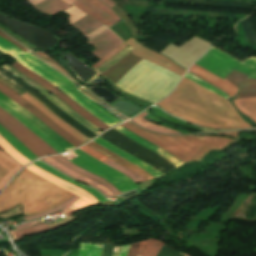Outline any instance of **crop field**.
Returning a JSON list of instances; mask_svg holds the SVG:
<instances>
[{
  "label": "crop field",
  "mask_w": 256,
  "mask_h": 256,
  "mask_svg": "<svg viewBox=\"0 0 256 256\" xmlns=\"http://www.w3.org/2000/svg\"><path fill=\"white\" fill-rule=\"evenodd\" d=\"M157 105L196 125L220 129L251 128L239 118L226 99L185 78L167 99Z\"/></svg>",
  "instance_id": "8a807250"
},
{
  "label": "crop field",
  "mask_w": 256,
  "mask_h": 256,
  "mask_svg": "<svg viewBox=\"0 0 256 256\" xmlns=\"http://www.w3.org/2000/svg\"><path fill=\"white\" fill-rule=\"evenodd\" d=\"M72 195L23 169L0 195V212L21 204L23 214L32 215L54 208Z\"/></svg>",
  "instance_id": "ac0d7876"
},
{
  "label": "crop field",
  "mask_w": 256,
  "mask_h": 256,
  "mask_svg": "<svg viewBox=\"0 0 256 256\" xmlns=\"http://www.w3.org/2000/svg\"><path fill=\"white\" fill-rule=\"evenodd\" d=\"M180 78V76L142 59L115 86L154 104L169 94Z\"/></svg>",
  "instance_id": "34b2d1b8"
},
{
  "label": "crop field",
  "mask_w": 256,
  "mask_h": 256,
  "mask_svg": "<svg viewBox=\"0 0 256 256\" xmlns=\"http://www.w3.org/2000/svg\"><path fill=\"white\" fill-rule=\"evenodd\" d=\"M128 130L134 132L143 139L153 143L154 145L164 149L182 162H192L200 160L211 149L222 150L230 143L238 140H231L225 137H165L151 135L140 131L128 122L121 124Z\"/></svg>",
  "instance_id": "412701ff"
},
{
  "label": "crop field",
  "mask_w": 256,
  "mask_h": 256,
  "mask_svg": "<svg viewBox=\"0 0 256 256\" xmlns=\"http://www.w3.org/2000/svg\"><path fill=\"white\" fill-rule=\"evenodd\" d=\"M195 64L215 74L220 78H225L233 69L249 75L247 78H256V58L245 59L242 63L228 54L211 46L209 51L201 57Z\"/></svg>",
  "instance_id": "f4fd0767"
},
{
  "label": "crop field",
  "mask_w": 256,
  "mask_h": 256,
  "mask_svg": "<svg viewBox=\"0 0 256 256\" xmlns=\"http://www.w3.org/2000/svg\"><path fill=\"white\" fill-rule=\"evenodd\" d=\"M72 152L77 154L79 157L70 160L71 163L104 178L121 193L138 188V185L125 175L102 164L82 151L76 149Z\"/></svg>",
  "instance_id": "dd49c442"
},
{
  "label": "crop field",
  "mask_w": 256,
  "mask_h": 256,
  "mask_svg": "<svg viewBox=\"0 0 256 256\" xmlns=\"http://www.w3.org/2000/svg\"><path fill=\"white\" fill-rule=\"evenodd\" d=\"M104 140L114 144L115 146L119 147L120 149L124 150L125 152L131 154L132 156L136 157L137 159L157 168L163 174L176 168L167 160L159 157L158 155L148 151L147 149L143 148L142 146L138 145L134 141L130 140L126 136L122 135L121 133L110 130L104 135L100 136Z\"/></svg>",
  "instance_id": "e52e79f7"
},
{
  "label": "crop field",
  "mask_w": 256,
  "mask_h": 256,
  "mask_svg": "<svg viewBox=\"0 0 256 256\" xmlns=\"http://www.w3.org/2000/svg\"><path fill=\"white\" fill-rule=\"evenodd\" d=\"M0 125L9 133L13 134L19 141H21L29 150H31L38 157L56 154L50 146H48L39 137L33 134L20 122L14 119L11 115L0 108ZM20 142V143H21Z\"/></svg>",
  "instance_id": "d8731c3e"
},
{
  "label": "crop field",
  "mask_w": 256,
  "mask_h": 256,
  "mask_svg": "<svg viewBox=\"0 0 256 256\" xmlns=\"http://www.w3.org/2000/svg\"><path fill=\"white\" fill-rule=\"evenodd\" d=\"M0 50L10 56H14L15 58H13V59L17 60L18 62L23 64L25 67L30 69L31 71L35 72L39 76L48 80L50 83H52L54 86H56L60 91H63L64 93H66L74 101H76L78 104H80L86 110H88L90 113H92L98 119H100L102 122L107 124L109 127L117 124L115 121L111 120L110 118L106 117L105 115L101 114L100 112L96 111L94 108L89 106L86 102H84L82 99H80L78 96H76L73 92H71L65 86L61 85L56 80L51 78L49 75H47L43 71L39 70L38 68L34 67L29 62L25 61L22 57H20L18 55L19 53H22V52L18 48H16L14 45H12L11 43H9L8 41H6L2 38H0Z\"/></svg>",
  "instance_id": "5a996713"
},
{
  "label": "crop field",
  "mask_w": 256,
  "mask_h": 256,
  "mask_svg": "<svg viewBox=\"0 0 256 256\" xmlns=\"http://www.w3.org/2000/svg\"><path fill=\"white\" fill-rule=\"evenodd\" d=\"M11 66L27 76L29 79L55 95L57 98H59L61 101H63L65 104H67L69 107H71L74 111H76L78 114H80L83 118H85L87 121L91 122L95 126L105 130L109 127H107L105 124L100 122L98 119L93 117L91 114L83 110L81 107L76 105L74 102H72L70 99H68L64 94H62L60 91H58L56 88H54L50 83H48L45 79L37 76L36 74L28 71L23 66H21L19 63L15 62L11 64Z\"/></svg>",
  "instance_id": "3316defc"
},
{
  "label": "crop field",
  "mask_w": 256,
  "mask_h": 256,
  "mask_svg": "<svg viewBox=\"0 0 256 256\" xmlns=\"http://www.w3.org/2000/svg\"><path fill=\"white\" fill-rule=\"evenodd\" d=\"M0 92L20 104L22 107L27 109L29 112H31L33 115H35L37 118H39L42 122H44L47 126H49L52 130H54L57 134H59L61 137H63L65 140H67L69 143H71L73 146L77 147L80 143L78 140H76L74 137H72L70 134H68L64 129H62L60 126H58L56 123H54L52 120H50L47 116H45L42 112H40L37 108H35L33 105L28 103L24 98L17 95L16 93L12 92L8 88L4 87L0 84Z\"/></svg>",
  "instance_id": "28ad6ade"
},
{
  "label": "crop field",
  "mask_w": 256,
  "mask_h": 256,
  "mask_svg": "<svg viewBox=\"0 0 256 256\" xmlns=\"http://www.w3.org/2000/svg\"><path fill=\"white\" fill-rule=\"evenodd\" d=\"M47 180H49L50 182L74 193L75 195L79 196L80 198L72 204V206L80 209L82 207H85L89 204H95L96 202H98L95 198H93L90 194H88L87 192H85L84 190L66 182V181H63L51 174H48L44 171H42L41 169L37 168L36 166L34 165H29L27 168H25Z\"/></svg>",
  "instance_id": "d1516ede"
},
{
  "label": "crop field",
  "mask_w": 256,
  "mask_h": 256,
  "mask_svg": "<svg viewBox=\"0 0 256 256\" xmlns=\"http://www.w3.org/2000/svg\"><path fill=\"white\" fill-rule=\"evenodd\" d=\"M20 56H22L24 59L28 60L29 62H31L35 66H37L40 69H42L44 72L49 74L51 77H53L54 79L58 80L61 84H63L66 87H68L76 95H78L80 98L85 100L88 104L93 106L96 110L100 111L101 113L105 114L106 116L110 117L111 119L115 120L116 122L120 123V121L117 120L115 117H113L112 115H110L109 113H107L106 111L101 109L97 104L93 103L88 98H86L84 95H82L80 92H78L76 90V88L72 85V83L69 80L64 78L62 75H60L54 69H52L51 67L47 66L45 63L41 62L40 60L34 58L33 56L29 55L28 52L22 53V54H20Z\"/></svg>",
  "instance_id": "22f410ed"
},
{
  "label": "crop field",
  "mask_w": 256,
  "mask_h": 256,
  "mask_svg": "<svg viewBox=\"0 0 256 256\" xmlns=\"http://www.w3.org/2000/svg\"><path fill=\"white\" fill-rule=\"evenodd\" d=\"M0 100L12 106L16 111H18L21 115H23L27 120H29L32 124H34L37 128H39L42 132H44L47 136L61 145L66 151L74 148L71 144L57 135L54 131H52L49 127H47L44 123L38 120L36 117L31 115L17 103L0 93Z\"/></svg>",
  "instance_id": "cbeb9de0"
},
{
  "label": "crop field",
  "mask_w": 256,
  "mask_h": 256,
  "mask_svg": "<svg viewBox=\"0 0 256 256\" xmlns=\"http://www.w3.org/2000/svg\"><path fill=\"white\" fill-rule=\"evenodd\" d=\"M125 43H127L128 45L134 47L135 49L132 51V53L136 56H139L141 58H144L148 61H151L155 64H158L180 76L183 75V73L185 72V70H183L182 68L178 67L176 64H174L173 62L169 61L168 59L144 48L143 46H141L140 44H138L136 41H134L132 38L125 41Z\"/></svg>",
  "instance_id": "5142ce71"
},
{
  "label": "crop field",
  "mask_w": 256,
  "mask_h": 256,
  "mask_svg": "<svg viewBox=\"0 0 256 256\" xmlns=\"http://www.w3.org/2000/svg\"><path fill=\"white\" fill-rule=\"evenodd\" d=\"M87 43H93L95 47L98 49L93 51L92 55L97 57L98 59L124 43L112 30L109 28L88 41Z\"/></svg>",
  "instance_id": "d9b57169"
},
{
  "label": "crop field",
  "mask_w": 256,
  "mask_h": 256,
  "mask_svg": "<svg viewBox=\"0 0 256 256\" xmlns=\"http://www.w3.org/2000/svg\"><path fill=\"white\" fill-rule=\"evenodd\" d=\"M140 60L141 58H138L130 53L109 70L99 75L115 85V83Z\"/></svg>",
  "instance_id": "733c2abd"
},
{
  "label": "crop field",
  "mask_w": 256,
  "mask_h": 256,
  "mask_svg": "<svg viewBox=\"0 0 256 256\" xmlns=\"http://www.w3.org/2000/svg\"><path fill=\"white\" fill-rule=\"evenodd\" d=\"M247 75L239 73L233 70L225 79L230 81L232 84L239 88H248L249 89H240L235 98H244V97H253L256 96V79H244Z\"/></svg>",
  "instance_id": "4a817a6b"
},
{
  "label": "crop field",
  "mask_w": 256,
  "mask_h": 256,
  "mask_svg": "<svg viewBox=\"0 0 256 256\" xmlns=\"http://www.w3.org/2000/svg\"><path fill=\"white\" fill-rule=\"evenodd\" d=\"M43 161H45L46 163H48L49 165H51L52 167H54L55 169L79 180L82 181L88 185H91L93 187H95L96 189H98L100 192H102L103 194H105L108 198L114 196L112 195L107 188L103 187L101 184L65 167L64 165H62L61 163H59L58 161H56L55 159H53L52 157H45L43 159H41Z\"/></svg>",
  "instance_id": "bc2a9ffb"
},
{
  "label": "crop field",
  "mask_w": 256,
  "mask_h": 256,
  "mask_svg": "<svg viewBox=\"0 0 256 256\" xmlns=\"http://www.w3.org/2000/svg\"><path fill=\"white\" fill-rule=\"evenodd\" d=\"M189 71L206 80L210 84L220 88L221 90L226 92L230 97H233L238 91V88L229 83L227 80H222L195 64L190 68Z\"/></svg>",
  "instance_id": "214f88e0"
},
{
  "label": "crop field",
  "mask_w": 256,
  "mask_h": 256,
  "mask_svg": "<svg viewBox=\"0 0 256 256\" xmlns=\"http://www.w3.org/2000/svg\"><path fill=\"white\" fill-rule=\"evenodd\" d=\"M24 98H26L29 102H31L35 107H37L39 110H41L44 114H46L50 119H52L54 122H56L58 125H60L62 128H64L68 133H70L72 136H74L76 139H78L80 142L84 143L90 139L82 135L80 132L72 128L70 125L65 123L63 120H61L59 117H57L54 113H52L49 109H47L44 105H42L40 102L35 100L33 97H31L29 94L25 93L23 95Z\"/></svg>",
  "instance_id": "92a150f3"
},
{
  "label": "crop field",
  "mask_w": 256,
  "mask_h": 256,
  "mask_svg": "<svg viewBox=\"0 0 256 256\" xmlns=\"http://www.w3.org/2000/svg\"><path fill=\"white\" fill-rule=\"evenodd\" d=\"M0 107L11 114L14 118L20 121L23 125H25L28 129L34 132L37 136H39L42 140H44L48 145H50L54 150L58 153L65 152V150L60 147L57 143L47 137L44 133H42L39 129H37L34 125H32L29 121H27L24 117H22L18 112H16L9 105L0 101Z\"/></svg>",
  "instance_id": "dafd665d"
},
{
  "label": "crop field",
  "mask_w": 256,
  "mask_h": 256,
  "mask_svg": "<svg viewBox=\"0 0 256 256\" xmlns=\"http://www.w3.org/2000/svg\"><path fill=\"white\" fill-rule=\"evenodd\" d=\"M93 142L105 147L106 149L110 150L111 152L125 158L126 160H128L129 162L139 166L140 168L144 169L145 171L149 172L150 174H152L155 178L162 175L161 173H159L157 170H155L154 168L144 164L143 162L135 159L134 157L130 156L129 154L119 150L117 147L111 145L110 143L104 141L101 138H97L95 139Z\"/></svg>",
  "instance_id": "00972430"
},
{
  "label": "crop field",
  "mask_w": 256,
  "mask_h": 256,
  "mask_svg": "<svg viewBox=\"0 0 256 256\" xmlns=\"http://www.w3.org/2000/svg\"><path fill=\"white\" fill-rule=\"evenodd\" d=\"M17 163L10 156L0 150V190L9 178L22 167Z\"/></svg>",
  "instance_id": "a9b5d70f"
},
{
  "label": "crop field",
  "mask_w": 256,
  "mask_h": 256,
  "mask_svg": "<svg viewBox=\"0 0 256 256\" xmlns=\"http://www.w3.org/2000/svg\"><path fill=\"white\" fill-rule=\"evenodd\" d=\"M116 130H118L119 132H121L122 134L126 135L127 137H129L130 139L134 140L135 142H137L138 144L146 147L147 149L157 153L158 155L166 158L169 162H171L173 165H175L176 167L184 164L180 161H178L176 158L172 157L171 155L167 154L166 152L162 151L161 149H159L158 147L146 142L145 140L141 139L140 137L134 135L133 133H131L130 131H128L127 129L119 126L114 128Z\"/></svg>",
  "instance_id": "4177f3b9"
},
{
  "label": "crop field",
  "mask_w": 256,
  "mask_h": 256,
  "mask_svg": "<svg viewBox=\"0 0 256 256\" xmlns=\"http://www.w3.org/2000/svg\"><path fill=\"white\" fill-rule=\"evenodd\" d=\"M87 145L90 146L91 148L95 149L99 153L103 154L104 156L108 157L109 159H111V160L131 169V170H134V171L140 173L146 180L154 179L153 176H151L149 173H147V172L141 170L140 168H138L137 166L121 159L120 157L114 155L113 153L107 151L106 149L100 147L99 145H97L93 142H91Z\"/></svg>",
  "instance_id": "730fd06b"
},
{
  "label": "crop field",
  "mask_w": 256,
  "mask_h": 256,
  "mask_svg": "<svg viewBox=\"0 0 256 256\" xmlns=\"http://www.w3.org/2000/svg\"><path fill=\"white\" fill-rule=\"evenodd\" d=\"M70 6L61 0H44L41 3L33 6V8L45 14H57Z\"/></svg>",
  "instance_id": "eef30255"
},
{
  "label": "crop field",
  "mask_w": 256,
  "mask_h": 256,
  "mask_svg": "<svg viewBox=\"0 0 256 256\" xmlns=\"http://www.w3.org/2000/svg\"><path fill=\"white\" fill-rule=\"evenodd\" d=\"M32 164L36 165L37 167H39V168H41V169H43V170H45V171H47V172H49V173H51V174L57 176V177H59V178H62V179H64V180H66V181H68V182H70V183H72V184H74V185H76V186H78V187L84 189L85 191H87L88 193H90L91 195H93L100 203L107 201V199H105L103 196H101L96 190H94V189H92V188H89V187L82 186V185H80V184L74 182V181L71 180L70 178H68V177H66V176H64V175H62V174H60V173L57 172L56 170H54V169H52V168H50V167H48V166H46V165H44V164L38 162V161H36V162H34V163H32Z\"/></svg>",
  "instance_id": "ae1a2a85"
},
{
  "label": "crop field",
  "mask_w": 256,
  "mask_h": 256,
  "mask_svg": "<svg viewBox=\"0 0 256 256\" xmlns=\"http://www.w3.org/2000/svg\"><path fill=\"white\" fill-rule=\"evenodd\" d=\"M233 101L242 113L256 121V98L235 99Z\"/></svg>",
  "instance_id": "d3111659"
},
{
  "label": "crop field",
  "mask_w": 256,
  "mask_h": 256,
  "mask_svg": "<svg viewBox=\"0 0 256 256\" xmlns=\"http://www.w3.org/2000/svg\"><path fill=\"white\" fill-rule=\"evenodd\" d=\"M0 134L23 156H25L30 161L36 159L37 157L31 153L22 143H20L13 135L9 134L0 126Z\"/></svg>",
  "instance_id": "750c4746"
},
{
  "label": "crop field",
  "mask_w": 256,
  "mask_h": 256,
  "mask_svg": "<svg viewBox=\"0 0 256 256\" xmlns=\"http://www.w3.org/2000/svg\"><path fill=\"white\" fill-rule=\"evenodd\" d=\"M54 158L56 160H58L59 162H61L62 164H64V165H66V166H68V167H70V168H72V169H74V170H76V171H78V172H80V173H82V174H84V175H86V176H88V177H90V178L100 182L101 184L106 186L110 190V192L112 194H114V195L120 194V192L118 190H116L111 184H109L108 182L104 181L100 177H98V176H96L94 174H91V173H89V172H87V171H85V170H83V169H81V168L71 164L68 160H66V159H64V158H62L60 156H56Z\"/></svg>",
  "instance_id": "bd1437ed"
},
{
  "label": "crop field",
  "mask_w": 256,
  "mask_h": 256,
  "mask_svg": "<svg viewBox=\"0 0 256 256\" xmlns=\"http://www.w3.org/2000/svg\"><path fill=\"white\" fill-rule=\"evenodd\" d=\"M163 243L154 239L141 241L140 248L137 255L140 256H156Z\"/></svg>",
  "instance_id": "1d83c4d3"
},
{
  "label": "crop field",
  "mask_w": 256,
  "mask_h": 256,
  "mask_svg": "<svg viewBox=\"0 0 256 256\" xmlns=\"http://www.w3.org/2000/svg\"><path fill=\"white\" fill-rule=\"evenodd\" d=\"M72 25L82 30L81 33L86 36L103 24L86 15Z\"/></svg>",
  "instance_id": "120bbe31"
},
{
  "label": "crop field",
  "mask_w": 256,
  "mask_h": 256,
  "mask_svg": "<svg viewBox=\"0 0 256 256\" xmlns=\"http://www.w3.org/2000/svg\"><path fill=\"white\" fill-rule=\"evenodd\" d=\"M145 115H147V114L142 113V114L134 117L132 119V121L135 122L136 124L144 127V128H147V129L151 130V131L162 132V133H170V134L179 133L177 131H174V130H171V129H168V128L157 126V125L143 119L142 117L145 116Z\"/></svg>",
  "instance_id": "d32e631a"
},
{
  "label": "crop field",
  "mask_w": 256,
  "mask_h": 256,
  "mask_svg": "<svg viewBox=\"0 0 256 256\" xmlns=\"http://www.w3.org/2000/svg\"><path fill=\"white\" fill-rule=\"evenodd\" d=\"M112 168H114L115 170L125 174L126 176H128L129 178H131L134 182L138 183V182H143V181H146L141 175L139 174H136L122 166H120L119 164L111 161V160H106L104 162H102Z\"/></svg>",
  "instance_id": "5866460e"
},
{
  "label": "crop field",
  "mask_w": 256,
  "mask_h": 256,
  "mask_svg": "<svg viewBox=\"0 0 256 256\" xmlns=\"http://www.w3.org/2000/svg\"><path fill=\"white\" fill-rule=\"evenodd\" d=\"M79 197H77V196H72L70 199H68L65 203H63V204H61L60 206H58V207H56V208H54V209H52V210H50V211H48V212H45V213H42V214H39V215H36V216H28V217H25V219H27V220H30V219H34V218H39V217H42V216H44V215H46V214H49V213H52V212H54V211H56V210H59L60 208H62L63 206L65 207V208H63V209H61V210H63L64 212H66L67 214H72V213H74L75 211H77L78 209H76V208H74V207H72V206H70L75 200H77ZM69 206H70V208H69ZM69 208V209H68Z\"/></svg>",
  "instance_id": "028f5c9d"
},
{
  "label": "crop field",
  "mask_w": 256,
  "mask_h": 256,
  "mask_svg": "<svg viewBox=\"0 0 256 256\" xmlns=\"http://www.w3.org/2000/svg\"><path fill=\"white\" fill-rule=\"evenodd\" d=\"M70 221L71 220H69V221H67V222H65L63 224L56 225V226H51V227H48L45 223L38 224V225L32 226L29 229H23V230H20V231H15L14 233L16 234V236L18 238H20V237H23V236H26V235H29V234H32V233L42 232V231H46V230H49V229L61 227V226L65 225V224H67Z\"/></svg>",
  "instance_id": "e1f06a70"
},
{
  "label": "crop field",
  "mask_w": 256,
  "mask_h": 256,
  "mask_svg": "<svg viewBox=\"0 0 256 256\" xmlns=\"http://www.w3.org/2000/svg\"><path fill=\"white\" fill-rule=\"evenodd\" d=\"M102 246L95 245V244L81 243L79 256H100Z\"/></svg>",
  "instance_id": "0bd39190"
},
{
  "label": "crop field",
  "mask_w": 256,
  "mask_h": 256,
  "mask_svg": "<svg viewBox=\"0 0 256 256\" xmlns=\"http://www.w3.org/2000/svg\"><path fill=\"white\" fill-rule=\"evenodd\" d=\"M0 146L13 158L19 161L21 164L24 165L30 162L26 158H24L21 154H19L13 147H11L1 136H0Z\"/></svg>",
  "instance_id": "b80d0937"
},
{
  "label": "crop field",
  "mask_w": 256,
  "mask_h": 256,
  "mask_svg": "<svg viewBox=\"0 0 256 256\" xmlns=\"http://www.w3.org/2000/svg\"><path fill=\"white\" fill-rule=\"evenodd\" d=\"M74 6H76L78 9H80L81 11L87 13L88 15H90L91 17L95 18L96 20H98L99 22L103 23L106 26H111L113 24H111L110 22H108L107 20H105L104 18L100 17L99 15H97L96 13L92 12L91 10H89L88 8L84 7L83 5H81L78 2H74L72 3ZM71 4V5H72Z\"/></svg>",
  "instance_id": "c035e120"
},
{
  "label": "crop field",
  "mask_w": 256,
  "mask_h": 256,
  "mask_svg": "<svg viewBox=\"0 0 256 256\" xmlns=\"http://www.w3.org/2000/svg\"><path fill=\"white\" fill-rule=\"evenodd\" d=\"M185 77L188 78L189 80L195 82L196 84H198V85H200V86H202V87H204V88H206V89H208V90H210V91H212V92H214V93H216V94H218V95L228 99L223 93H221L218 90H216L215 88L209 86L208 84H206L205 82H203L200 79L196 78L195 76L187 73V75Z\"/></svg>",
  "instance_id": "c21b1889"
},
{
  "label": "crop field",
  "mask_w": 256,
  "mask_h": 256,
  "mask_svg": "<svg viewBox=\"0 0 256 256\" xmlns=\"http://www.w3.org/2000/svg\"><path fill=\"white\" fill-rule=\"evenodd\" d=\"M35 53L37 55H39L41 58H43L44 60H46L47 62H49L50 64H52L53 66H55L56 68H58L59 70H61L62 72H64L65 74H67L68 76H70L71 78L74 79V77L72 76V74L70 72H68L66 69H64L62 66H60L58 63H56L54 60H52L47 55H45L42 52H35Z\"/></svg>",
  "instance_id": "03da06ac"
},
{
  "label": "crop field",
  "mask_w": 256,
  "mask_h": 256,
  "mask_svg": "<svg viewBox=\"0 0 256 256\" xmlns=\"http://www.w3.org/2000/svg\"><path fill=\"white\" fill-rule=\"evenodd\" d=\"M78 2H80L81 4H83L84 6L88 7L89 9H91L92 11L96 12L97 14H99L100 16L104 17L105 19L115 23V20L112 19L111 17H109L108 15H106L105 13H103L102 11H100L99 9H97L95 6H93L92 4H90L89 2H87L86 0H76Z\"/></svg>",
  "instance_id": "b54c1fbb"
},
{
  "label": "crop field",
  "mask_w": 256,
  "mask_h": 256,
  "mask_svg": "<svg viewBox=\"0 0 256 256\" xmlns=\"http://www.w3.org/2000/svg\"><path fill=\"white\" fill-rule=\"evenodd\" d=\"M88 1L93 5H95L96 7H98L103 12H105L106 14H108L109 16H111L112 18H114L116 22L119 21V19L115 16V14L98 0H88Z\"/></svg>",
  "instance_id": "5d738f31"
},
{
  "label": "crop field",
  "mask_w": 256,
  "mask_h": 256,
  "mask_svg": "<svg viewBox=\"0 0 256 256\" xmlns=\"http://www.w3.org/2000/svg\"><path fill=\"white\" fill-rule=\"evenodd\" d=\"M128 45H126L125 43L122 44L121 46H119L118 48H116L115 50H113L111 53H109L107 56H105L103 59H101L100 61H98L96 64H94L92 67H94L95 69L100 66L103 62H105L106 60L110 59L111 57H113L114 55H116L118 52H120L121 50H123L125 47H127Z\"/></svg>",
  "instance_id": "d23c7cc5"
},
{
  "label": "crop field",
  "mask_w": 256,
  "mask_h": 256,
  "mask_svg": "<svg viewBox=\"0 0 256 256\" xmlns=\"http://www.w3.org/2000/svg\"><path fill=\"white\" fill-rule=\"evenodd\" d=\"M79 149L83 150L84 152L88 153L89 155H91L92 157L96 158L97 160H99L101 162L108 159L86 145Z\"/></svg>",
  "instance_id": "425ffa30"
},
{
  "label": "crop field",
  "mask_w": 256,
  "mask_h": 256,
  "mask_svg": "<svg viewBox=\"0 0 256 256\" xmlns=\"http://www.w3.org/2000/svg\"><path fill=\"white\" fill-rule=\"evenodd\" d=\"M139 243L140 242L134 243V244L131 245L129 253H128L127 256H136L137 251H138V247H139Z\"/></svg>",
  "instance_id": "25e5ab78"
},
{
  "label": "crop field",
  "mask_w": 256,
  "mask_h": 256,
  "mask_svg": "<svg viewBox=\"0 0 256 256\" xmlns=\"http://www.w3.org/2000/svg\"><path fill=\"white\" fill-rule=\"evenodd\" d=\"M129 246L130 245H124L121 247V250H120V253L118 256H126L127 255V252L129 250Z\"/></svg>",
  "instance_id": "73cf0c24"
},
{
  "label": "crop field",
  "mask_w": 256,
  "mask_h": 256,
  "mask_svg": "<svg viewBox=\"0 0 256 256\" xmlns=\"http://www.w3.org/2000/svg\"><path fill=\"white\" fill-rule=\"evenodd\" d=\"M0 37L10 41L11 43L15 44L18 48H20L23 52L27 51L26 49H24L23 47L19 46L18 44H16L14 41H12L10 38H8L7 36L3 35L2 33H0Z\"/></svg>",
  "instance_id": "89e229c0"
},
{
  "label": "crop field",
  "mask_w": 256,
  "mask_h": 256,
  "mask_svg": "<svg viewBox=\"0 0 256 256\" xmlns=\"http://www.w3.org/2000/svg\"><path fill=\"white\" fill-rule=\"evenodd\" d=\"M36 223H37L36 221H34V222H30V223H24V224H22V225H20V226H17V227H16V229L25 228V227H28V226L34 225V224H36Z\"/></svg>",
  "instance_id": "1f2cbd36"
},
{
  "label": "crop field",
  "mask_w": 256,
  "mask_h": 256,
  "mask_svg": "<svg viewBox=\"0 0 256 256\" xmlns=\"http://www.w3.org/2000/svg\"><path fill=\"white\" fill-rule=\"evenodd\" d=\"M239 132H235V133H224V134H219V135H227V136H231V137H236L238 136Z\"/></svg>",
  "instance_id": "dbb93151"
},
{
  "label": "crop field",
  "mask_w": 256,
  "mask_h": 256,
  "mask_svg": "<svg viewBox=\"0 0 256 256\" xmlns=\"http://www.w3.org/2000/svg\"><path fill=\"white\" fill-rule=\"evenodd\" d=\"M101 1H103L104 3H106L110 8L113 7L114 5H116V4L112 3V2L109 1V0H101Z\"/></svg>",
  "instance_id": "0fb4a251"
},
{
  "label": "crop field",
  "mask_w": 256,
  "mask_h": 256,
  "mask_svg": "<svg viewBox=\"0 0 256 256\" xmlns=\"http://www.w3.org/2000/svg\"><path fill=\"white\" fill-rule=\"evenodd\" d=\"M27 1L34 5L42 0H27Z\"/></svg>",
  "instance_id": "1d79db26"
},
{
  "label": "crop field",
  "mask_w": 256,
  "mask_h": 256,
  "mask_svg": "<svg viewBox=\"0 0 256 256\" xmlns=\"http://www.w3.org/2000/svg\"><path fill=\"white\" fill-rule=\"evenodd\" d=\"M131 123V122H130ZM136 127V126H135ZM138 128V127H137ZM140 129V128H139ZM142 130V129H141ZM144 131V130H143ZM147 132V131H146ZM148 133H150V132H148ZM151 134H154V133H151ZM158 135V134H157Z\"/></svg>",
  "instance_id": "9d1cf04e"
},
{
  "label": "crop field",
  "mask_w": 256,
  "mask_h": 256,
  "mask_svg": "<svg viewBox=\"0 0 256 256\" xmlns=\"http://www.w3.org/2000/svg\"><path fill=\"white\" fill-rule=\"evenodd\" d=\"M179 256H185L184 254H182V253H180V255Z\"/></svg>",
  "instance_id": "447ae74e"
},
{
  "label": "crop field",
  "mask_w": 256,
  "mask_h": 256,
  "mask_svg": "<svg viewBox=\"0 0 256 256\" xmlns=\"http://www.w3.org/2000/svg\"><path fill=\"white\" fill-rule=\"evenodd\" d=\"M187 256V255H186Z\"/></svg>",
  "instance_id": "0765c3eb"
}]
</instances>
